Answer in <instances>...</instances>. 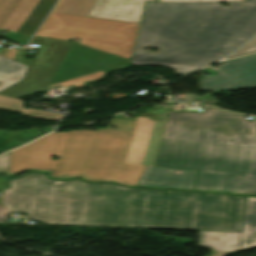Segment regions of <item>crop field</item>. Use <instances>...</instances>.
I'll list each match as a JSON object with an SVG mask.
<instances>
[{
  "instance_id": "1",
  "label": "crop field",
  "mask_w": 256,
  "mask_h": 256,
  "mask_svg": "<svg viewBox=\"0 0 256 256\" xmlns=\"http://www.w3.org/2000/svg\"><path fill=\"white\" fill-rule=\"evenodd\" d=\"M67 191V193H61ZM245 197L60 181L31 172L11 179L2 204L52 224L240 232Z\"/></svg>"
},
{
  "instance_id": "2",
  "label": "crop field",
  "mask_w": 256,
  "mask_h": 256,
  "mask_svg": "<svg viewBox=\"0 0 256 256\" xmlns=\"http://www.w3.org/2000/svg\"><path fill=\"white\" fill-rule=\"evenodd\" d=\"M229 5L147 3L131 63L184 74L227 55L256 33V0Z\"/></svg>"
},
{
  "instance_id": "3",
  "label": "crop field",
  "mask_w": 256,
  "mask_h": 256,
  "mask_svg": "<svg viewBox=\"0 0 256 256\" xmlns=\"http://www.w3.org/2000/svg\"><path fill=\"white\" fill-rule=\"evenodd\" d=\"M205 108L168 112L155 166L198 170L194 190L256 195V120Z\"/></svg>"
},
{
  "instance_id": "4",
  "label": "crop field",
  "mask_w": 256,
  "mask_h": 256,
  "mask_svg": "<svg viewBox=\"0 0 256 256\" xmlns=\"http://www.w3.org/2000/svg\"><path fill=\"white\" fill-rule=\"evenodd\" d=\"M130 137L88 130L49 134L10 152V174L35 169L50 171L55 178L135 186L145 166L123 164ZM54 156L58 160H52Z\"/></svg>"
},
{
  "instance_id": "5",
  "label": "crop field",
  "mask_w": 256,
  "mask_h": 256,
  "mask_svg": "<svg viewBox=\"0 0 256 256\" xmlns=\"http://www.w3.org/2000/svg\"><path fill=\"white\" fill-rule=\"evenodd\" d=\"M139 25L122 21L51 13L37 35L68 40L127 59L132 58Z\"/></svg>"
},
{
  "instance_id": "6",
  "label": "crop field",
  "mask_w": 256,
  "mask_h": 256,
  "mask_svg": "<svg viewBox=\"0 0 256 256\" xmlns=\"http://www.w3.org/2000/svg\"><path fill=\"white\" fill-rule=\"evenodd\" d=\"M165 124L137 117L124 163L147 165L137 186L193 190L197 171L154 167Z\"/></svg>"
},
{
  "instance_id": "7",
  "label": "crop field",
  "mask_w": 256,
  "mask_h": 256,
  "mask_svg": "<svg viewBox=\"0 0 256 256\" xmlns=\"http://www.w3.org/2000/svg\"><path fill=\"white\" fill-rule=\"evenodd\" d=\"M33 41L43 42L30 63L40 70L0 91V94L19 98L45 91L73 43L38 36Z\"/></svg>"
},
{
  "instance_id": "8",
  "label": "crop field",
  "mask_w": 256,
  "mask_h": 256,
  "mask_svg": "<svg viewBox=\"0 0 256 256\" xmlns=\"http://www.w3.org/2000/svg\"><path fill=\"white\" fill-rule=\"evenodd\" d=\"M199 245L213 249L208 256H225L230 251L256 245V198L246 197L241 233L199 231Z\"/></svg>"
},
{
  "instance_id": "9",
  "label": "crop field",
  "mask_w": 256,
  "mask_h": 256,
  "mask_svg": "<svg viewBox=\"0 0 256 256\" xmlns=\"http://www.w3.org/2000/svg\"><path fill=\"white\" fill-rule=\"evenodd\" d=\"M209 68L221 74L201 79V90L256 87V54L223 62L217 68Z\"/></svg>"
},
{
  "instance_id": "10",
  "label": "crop field",
  "mask_w": 256,
  "mask_h": 256,
  "mask_svg": "<svg viewBox=\"0 0 256 256\" xmlns=\"http://www.w3.org/2000/svg\"><path fill=\"white\" fill-rule=\"evenodd\" d=\"M246 0H158L157 2H244ZM146 2L155 0H96L89 16L140 23Z\"/></svg>"
},
{
  "instance_id": "11",
  "label": "crop field",
  "mask_w": 256,
  "mask_h": 256,
  "mask_svg": "<svg viewBox=\"0 0 256 256\" xmlns=\"http://www.w3.org/2000/svg\"><path fill=\"white\" fill-rule=\"evenodd\" d=\"M27 66L0 56V90L22 79Z\"/></svg>"
},
{
  "instance_id": "12",
  "label": "crop field",
  "mask_w": 256,
  "mask_h": 256,
  "mask_svg": "<svg viewBox=\"0 0 256 256\" xmlns=\"http://www.w3.org/2000/svg\"><path fill=\"white\" fill-rule=\"evenodd\" d=\"M0 109L18 111V112H22L24 115H28L36 118H42V119H50V120H59L63 116L60 114L49 113V112H44L39 110L24 109L23 102L21 100L6 97L3 95H0Z\"/></svg>"
},
{
  "instance_id": "13",
  "label": "crop field",
  "mask_w": 256,
  "mask_h": 256,
  "mask_svg": "<svg viewBox=\"0 0 256 256\" xmlns=\"http://www.w3.org/2000/svg\"><path fill=\"white\" fill-rule=\"evenodd\" d=\"M134 122L135 121L132 120L113 118L111 126H118L120 127L119 130L111 128V126H109L107 129H99L98 131L131 135Z\"/></svg>"
},
{
  "instance_id": "14",
  "label": "crop field",
  "mask_w": 256,
  "mask_h": 256,
  "mask_svg": "<svg viewBox=\"0 0 256 256\" xmlns=\"http://www.w3.org/2000/svg\"><path fill=\"white\" fill-rule=\"evenodd\" d=\"M252 52H256V37L251 39L249 42H247L245 45H243L239 50H237L235 53L228 56L227 58L235 57V56H239V55H243V54H248V53H252Z\"/></svg>"
},
{
  "instance_id": "15",
  "label": "crop field",
  "mask_w": 256,
  "mask_h": 256,
  "mask_svg": "<svg viewBox=\"0 0 256 256\" xmlns=\"http://www.w3.org/2000/svg\"><path fill=\"white\" fill-rule=\"evenodd\" d=\"M0 173L9 174V153L0 156Z\"/></svg>"
},
{
  "instance_id": "16",
  "label": "crop field",
  "mask_w": 256,
  "mask_h": 256,
  "mask_svg": "<svg viewBox=\"0 0 256 256\" xmlns=\"http://www.w3.org/2000/svg\"><path fill=\"white\" fill-rule=\"evenodd\" d=\"M8 212L0 204V221H7Z\"/></svg>"
},
{
  "instance_id": "17",
  "label": "crop field",
  "mask_w": 256,
  "mask_h": 256,
  "mask_svg": "<svg viewBox=\"0 0 256 256\" xmlns=\"http://www.w3.org/2000/svg\"><path fill=\"white\" fill-rule=\"evenodd\" d=\"M81 81H84V80L81 78H78V79H74V81H71V82L62 81V82L54 83V85H70V84H74V83H79Z\"/></svg>"
},
{
  "instance_id": "18",
  "label": "crop field",
  "mask_w": 256,
  "mask_h": 256,
  "mask_svg": "<svg viewBox=\"0 0 256 256\" xmlns=\"http://www.w3.org/2000/svg\"><path fill=\"white\" fill-rule=\"evenodd\" d=\"M9 180L6 178H0V187H9Z\"/></svg>"
},
{
  "instance_id": "19",
  "label": "crop field",
  "mask_w": 256,
  "mask_h": 256,
  "mask_svg": "<svg viewBox=\"0 0 256 256\" xmlns=\"http://www.w3.org/2000/svg\"><path fill=\"white\" fill-rule=\"evenodd\" d=\"M37 70L38 69H35V68L29 66L23 78H25L26 76L32 74L33 72H35Z\"/></svg>"
}]
</instances>
